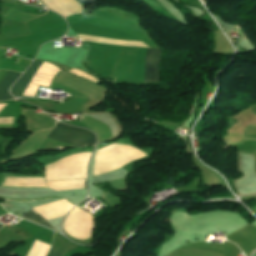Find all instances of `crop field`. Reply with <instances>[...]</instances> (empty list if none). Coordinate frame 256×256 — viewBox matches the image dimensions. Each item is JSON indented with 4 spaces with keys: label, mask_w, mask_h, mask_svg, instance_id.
Masks as SVG:
<instances>
[{
    "label": "crop field",
    "mask_w": 256,
    "mask_h": 256,
    "mask_svg": "<svg viewBox=\"0 0 256 256\" xmlns=\"http://www.w3.org/2000/svg\"><path fill=\"white\" fill-rule=\"evenodd\" d=\"M161 51L159 49L150 48L147 64V81L158 82L160 79L159 57Z\"/></svg>",
    "instance_id": "e52e79f7"
},
{
    "label": "crop field",
    "mask_w": 256,
    "mask_h": 256,
    "mask_svg": "<svg viewBox=\"0 0 256 256\" xmlns=\"http://www.w3.org/2000/svg\"><path fill=\"white\" fill-rule=\"evenodd\" d=\"M47 186L57 191L84 188V179L46 182ZM1 186L8 187H46L43 177L5 175Z\"/></svg>",
    "instance_id": "412701ff"
},
{
    "label": "crop field",
    "mask_w": 256,
    "mask_h": 256,
    "mask_svg": "<svg viewBox=\"0 0 256 256\" xmlns=\"http://www.w3.org/2000/svg\"><path fill=\"white\" fill-rule=\"evenodd\" d=\"M45 142L62 147L94 144V135L84 129L57 123Z\"/></svg>",
    "instance_id": "34b2d1b8"
},
{
    "label": "crop field",
    "mask_w": 256,
    "mask_h": 256,
    "mask_svg": "<svg viewBox=\"0 0 256 256\" xmlns=\"http://www.w3.org/2000/svg\"><path fill=\"white\" fill-rule=\"evenodd\" d=\"M33 210V209H32ZM32 210L28 211L25 215H23V217L30 219L32 221H35L37 223H40L44 226L53 228L51 225H49L46 221H44L39 215H37L36 213H34Z\"/></svg>",
    "instance_id": "3316defc"
},
{
    "label": "crop field",
    "mask_w": 256,
    "mask_h": 256,
    "mask_svg": "<svg viewBox=\"0 0 256 256\" xmlns=\"http://www.w3.org/2000/svg\"><path fill=\"white\" fill-rule=\"evenodd\" d=\"M62 253L54 250L51 248V250L49 251V253L47 254V256H61Z\"/></svg>",
    "instance_id": "28ad6ade"
},
{
    "label": "crop field",
    "mask_w": 256,
    "mask_h": 256,
    "mask_svg": "<svg viewBox=\"0 0 256 256\" xmlns=\"http://www.w3.org/2000/svg\"><path fill=\"white\" fill-rule=\"evenodd\" d=\"M137 149V148H136ZM134 148L120 145L107 150L100 151L95 160L94 176L115 171L127 163L144 157L146 154Z\"/></svg>",
    "instance_id": "ac0d7876"
},
{
    "label": "crop field",
    "mask_w": 256,
    "mask_h": 256,
    "mask_svg": "<svg viewBox=\"0 0 256 256\" xmlns=\"http://www.w3.org/2000/svg\"><path fill=\"white\" fill-rule=\"evenodd\" d=\"M6 70H0V78L2 75L5 73ZM21 73L13 72V71H8L4 74V76L0 80V100H5V99H11L13 98L9 93H8V88L10 85L16 80V78L20 75Z\"/></svg>",
    "instance_id": "5a996713"
},
{
    "label": "crop field",
    "mask_w": 256,
    "mask_h": 256,
    "mask_svg": "<svg viewBox=\"0 0 256 256\" xmlns=\"http://www.w3.org/2000/svg\"><path fill=\"white\" fill-rule=\"evenodd\" d=\"M73 205L68 202L66 199L60 200L57 202H53L50 204H46L43 206L35 207L34 210L45 220L54 218L57 216H61L66 214V212L72 207ZM68 213V212H67Z\"/></svg>",
    "instance_id": "dd49c442"
},
{
    "label": "crop field",
    "mask_w": 256,
    "mask_h": 256,
    "mask_svg": "<svg viewBox=\"0 0 256 256\" xmlns=\"http://www.w3.org/2000/svg\"><path fill=\"white\" fill-rule=\"evenodd\" d=\"M42 61L35 60L30 67L27 69V71L20 77V79L15 83V85L11 88V93L13 95H22L27 83L35 73V71L38 69V67L41 65Z\"/></svg>",
    "instance_id": "d8731c3e"
},
{
    "label": "crop field",
    "mask_w": 256,
    "mask_h": 256,
    "mask_svg": "<svg viewBox=\"0 0 256 256\" xmlns=\"http://www.w3.org/2000/svg\"><path fill=\"white\" fill-rule=\"evenodd\" d=\"M181 248H187V247H181ZM202 248H210V247H202ZM210 249H215V248H210ZM215 250L223 251V250H221V249H215Z\"/></svg>",
    "instance_id": "22f410ed"
},
{
    "label": "crop field",
    "mask_w": 256,
    "mask_h": 256,
    "mask_svg": "<svg viewBox=\"0 0 256 256\" xmlns=\"http://www.w3.org/2000/svg\"><path fill=\"white\" fill-rule=\"evenodd\" d=\"M1 227V226H0Z\"/></svg>",
    "instance_id": "5142ce71"
},
{
    "label": "crop field",
    "mask_w": 256,
    "mask_h": 256,
    "mask_svg": "<svg viewBox=\"0 0 256 256\" xmlns=\"http://www.w3.org/2000/svg\"><path fill=\"white\" fill-rule=\"evenodd\" d=\"M84 116H85V115H84ZM84 116H82V118H83ZM82 118H81V119H82Z\"/></svg>",
    "instance_id": "cbeb9de0"
},
{
    "label": "crop field",
    "mask_w": 256,
    "mask_h": 256,
    "mask_svg": "<svg viewBox=\"0 0 256 256\" xmlns=\"http://www.w3.org/2000/svg\"><path fill=\"white\" fill-rule=\"evenodd\" d=\"M91 153L71 154L46 165L45 180L86 178V167Z\"/></svg>",
    "instance_id": "8a807250"
},
{
    "label": "crop field",
    "mask_w": 256,
    "mask_h": 256,
    "mask_svg": "<svg viewBox=\"0 0 256 256\" xmlns=\"http://www.w3.org/2000/svg\"><path fill=\"white\" fill-rule=\"evenodd\" d=\"M93 227V216L79 208L73 209L63 225L67 234L80 239L89 238Z\"/></svg>",
    "instance_id": "f4fd0767"
},
{
    "label": "crop field",
    "mask_w": 256,
    "mask_h": 256,
    "mask_svg": "<svg viewBox=\"0 0 256 256\" xmlns=\"http://www.w3.org/2000/svg\"><path fill=\"white\" fill-rule=\"evenodd\" d=\"M0 128H12V124L0 125Z\"/></svg>",
    "instance_id": "d1516ede"
}]
</instances>
